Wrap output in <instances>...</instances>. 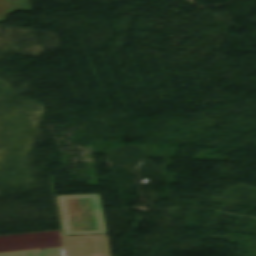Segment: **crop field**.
<instances>
[{
    "label": "crop field",
    "instance_id": "ac0d7876",
    "mask_svg": "<svg viewBox=\"0 0 256 256\" xmlns=\"http://www.w3.org/2000/svg\"><path fill=\"white\" fill-rule=\"evenodd\" d=\"M68 256H111L108 235L64 236Z\"/></svg>",
    "mask_w": 256,
    "mask_h": 256
},
{
    "label": "crop field",
    "instance_id": "8a807250",
    "mask_svg": "<svg viewBox=\"0 0 256 256\" xmlns=\"http://www.w3.org/2000/svg\"><path fill=\"white\" fill-rule=\"evenodd\" d=\"M57 199L65 235L107 234L99 194Z\"/></svg>",
    "mask_w": 256,
    "mask_h": 256
}]
</instances>
